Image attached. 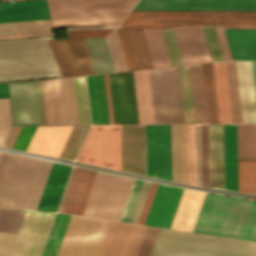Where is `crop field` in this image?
Returning a JSON list of instances; mask_svg holds the SVG:
<instances>
[{
	"instance_id": "b54c1fbb",
	"label": "crop field",
	"mask_w": 256,
	"mask_h": 256,
	"mask_svg": "<svg viewBox=\"0 0 256 256\" xmlns=\"http://www.w3.org/2000/svg\"><path fill=\"white\" fill-rule=\"evenodd\" d=\"M52 35L50 24L0 28V40Z\"/></svg>"
},
{
	"instance_id": "cbeb9de0",
	"label": "crop field",
	"mask_w": 256,
	"mask_h": 256,
	"mask_svg": "<svg viewBox=\"0 0 256 256\" xmlns=\"http://www.w3.org/2000/svg\"><path fill=\"white\" fill-rule=\"evenodd\" d=\"M47 42L62 77L94 73L84 39Z\"/></svg>"
},
{
	"instance_id": "c39391a2",
	"label": "crop field",
	"mask_w": 256,
	"mask_h": 256,
	"mask_svg": "<svg viewBox=\"0 0 256 256\" xmlns=\"http://www.w3.org/2000/svg\"><path fill=\"white\" fill-rule=\"evenodd\" d=\"M225 60L232 59L222 26H215Z\"/></svg>"
},
{
	"instance_id": "22f410ed",
	"label": "crop field",
	"mask_w": 256,
	"mask_h": 256,
	"mask_svg": "<svg viewBox=\"0 0 256 256\" xmlns=\"http://www.w3.org/2000/svg\"><path fill=\"white\" fill-rule=\"evenodd\" d=\"M54 215L26 211L11 256H39Z\"/></svg>"
},
{
	"instance_id": "8a807250",
	"label": "crop field",
	"mask_w": 256,
	"mask_h": 256,
	"mask_svg": "<svg viewBox=\"0 0 256 256\" xmlns=\"http://www.w3.org/2000/svg\"><path fill=\"white\" fill-rule=\"evenodd\" d=\"M192 231L256 241V202L207 193Z\"/></svg>"
},
{
	"instance_id": "89e229c0",
	"label": "crop field",
	"mask_w": 256,
	"mask_h": 256,
	"mask_svg": "<svg viewBox=\"0 0 256 256\" xmlns=\"http://www.w3.org/2000/svg\"><path fill=\"white\" fill-rule=\"evenodd\" d=\"M79 124H90L84 76L73 77Z\"/></svg>"
},
{
	"instance_id": "e1d0b9f6",
	"label": "crop field",
	"mask_w": 256,
	"mask_h": 256,
	"mask_svg": "<svg viewBox=\"0 0 256 256\" xmlns=\"http://www.w3.org/2000/svg\"><path fill=\"white\" fill-rule=\"evenodd\" d=\"M36 127H22L12 148L25 151Z\"/></svg>"
},
{
	"instance_id": "5866460e",
	"label": "crop field",
	"mask_w": 256,
	"mask_h": 256,
	"mask_svg": "<svg viewBox=\"0 0 256 256\" xmlns=\"http://www.w3.org/2000/svg\"><path fill=\"white\" fill-rule=\"evenodd\" d=\"M220 123H232L224 62L213 63Z\"/></svg>"
},
{
	"instance_id": "c21b1889",
	"label": "crop field",
	"mask_w": 256,
	"mask_h": 256,
	"mask_svg": "<svg viewBox=\"0 0 256 256\" xmlns=\"http://www.w3.org/2000/svg\"><path fill=\"white\" fill-rule=\"evenodd\" d=\"M155 67L171 66L160 29H144Z\"/></svg>"
},
{
	"instance_id": "f0312440",
	"label": "crop field",
	"mask_w": 256,
	"mask_h": 256,
	"mask_svg": "<svg viewBox=\"0 0 256 256\" xmlns=\"http://www.w3.org/2000/svg\"><path fill=\"white\" fill-rule=\"evenodd\" d=\"M7 155L8 154H6V153H1L0 152V174H1L2 168L4 166L5 160L7 158Z\"/></svg>"
},
{
	"instance_id": "214f88e0",
	"label": "crop field",
	"mask_w": 256,
	"mask_h": 256,
	"mask_svg": "<svg viewBox=\"0 0 256 256\" xmlns=\"http://www.w3.org/2000/svg\"><path fill=\"white\" fill-rule=\"evenodd\" d=\"M76 169L77 168L75 167L72 168L71 174L69 176V179H68V182H67V185L63 193L57 212L62 211L73 177L75 175ZM96 173L97 172L95 171H90V170H85L80 168L77 169L76 175L74 177L71 189L69 191V194L62 212L74 214V215L82 214V211L84 209V206L88 198L90 189L92 187Z\"/></svg>"
},
{
	"instance_id": "d8731c3e",
	"label": "crop field",
	"mask_w": 256,
	"mask_h": 256,
	"mask_svg": "<svg viewBox=\"0 0 256 256\" xmlns=\"http://www.w3.org/2000/svg\"><path fill=\"white\" fill-rule=\"evenodd\" d=\"M109 222L71 216L57 256H98Z\"/></svg>"
},
{
	"instance_id": "1d83c4d3",
	"label": "crop field",
	"mask_w": 256,
	"mask_h": 256,
	"mask_svg": "<svg viewBox=\"0 0 256 256\" xmlns=\"http://www.w3.org/2000/svg\"><path fill=\"white\" fill-rule=\"evenodd\" d=\"M25 211L0 209V231L17 233ZM0 232V256H10L17 234Z\"/></svg>"
},
{
	"instance_id": "425ffa30",
	"label": "crop field",
	"mask_w": 256,
	"mask_h": 256,
	"mask_svg": "<svg viewBox=\"0 0 256 256\" xmlns=\"http://www.w3.org/2000/svg\"><path fill=\"white\" fill-rule=\"evenodd\" d=\"M46 125L59 124L53 79L41 80Z\"/></svg>"
},
{
	"instance_id": "bc2a9ffb",
	"label": "crop field",
	"mask_w": 256,
	"mask_h": 256,
	"mask_svg": "<svg viewBox=\"0 0 256 256\" xmlns=\"http://www.w3.org/2000/svg\"><path fill=\"white\" fill-rule=\"evenodd\" d=\"M122 170L146 176L145 125H121Z\"/></svg>"
},
{
	"instance_id": "0bd39190",
	"label": "crop field",
	"mask_w": 256,
	"mask_h": 256,
	"mask_svg": "<svg viewBox=\"0 0 256 256\" xmlns=\"http://www.w3.org/2000/svg\"><path fill=\"white\" fill-rule=\"evenodd\" d=\"M238 159H256V124H237Z\"/></svg>"
},
{
	"instance_id": "fb207236",
	"label": "crop field",
	"mask_w": 256,
	"mask_h": 256,
	"mask_svg": "<svg viewBox=\"0 0 256 256\" xmlns=\"http://www.w3.org/2000/svg\"><path fill=\"white\" fill-rule=\"evenodd\" d=\"M8 97L7 83H0V98Z\"/></svg>"
},
{
	"instance_id": "1f2cbd36",
	"label": "crop field",
	"mask_w": 256,
	"mask_h": 256,
	"mask_svg": "<svg viewBox=\"0 0 256 256\" xmlns=\"http://www.w3.org/2000/svg\"><path fill=\"white\" fill-rule=\"evenodd\" d=\"M89 126H74L59 157L74 160Z\"/></svg>"
},
{
	"instance_id": "dbb93151",
	"label": "crop field",
	"mask_w": 256,
	"mask_h": 256,
	"mask_svg": "<svg viewBox=\"0 0 256 256\" xmlns=\"http://www.w3.org/2000/svg\"><path fill=\"white\" fill-rule=\"evenodd\" d=\"M204 35L205 43L209 53L210 61H221L223 55L217 38L214 26L201 27Z\"/></svg>"
},
{
	"instance_id": "7b73153f",
	"label": "crop field",
	"mask_w": 256,
	"mask_h": 256,
	"mask_svg": "<svg viewBox=\"0 0 256 256\" xmlns=\"http://www.w3.org/2000/svg\"><path fill=\"white\" fill-rule=\"evenodd\" d=\"M159 228L147 226L137 256H149Z\"/></svg>"
},
{
	"instance_id": "73cf0c24",
	"label": "crop field",
	"mask_w": 256,
	"mask_h": 256,
	"mask_svg": "<svg viewBox=\"0 0 256 256\" xmlns=\"http://www.w3.org/2000/svg\"><path fill=\"white\" fill-rule=\"evenodd\" d=\"M239 191L256 193V160H238Z\"/></svg>"
},
{
	"instance_id": "f4fd0767",
	"label": "crop field",
	"mask_w": 256,
	"mask_h": 256,
	"mask_svg": "<svg viewBox=\"0 0 256 256\" xmlns=\"http://www.w3.org/2000/svg\"><path fill=\"white\" fill-rule=\"evenodd\" d=\"M209 24L256 25V12L131 11L121 26L164 28Z\"/></svg>"
},
{
	"instance_id": "4a817a6b",
	"label": "crop field",
	"mask_w": 256,
	"mask_h": 256,
	"mask_svg": "<svg viewBox=\"0 0 256 256\" xmlns=\"http://www.w3.org/2000/svg\"><path fill=\"white\" fill-rule=\"evenodd\" d=\"M13 125H40L35 81L8 84Z\"/></svg>"
},
{
	"instance_id": "d23c7cc5",
	"label": "crop field",
	"mask_w": 256,
	"mask_h": 256,
	"mask_svg": "<svg viewBox=\"0 0 256 256\" xmlns=\"http://www.w3.org/2000/svg\"><path fill=\"white\" fill-rule=\"evenodd\" d=\"M139 64V68H151L153 62L143 29L128 28Z\"/></svg>"
},
{
	"instance_id": "b80d0937",
	"label": "crop field",
	"mask_w": 256,
	"mask_h": 256,
	"mask_svg": "<svg viewBox=\"0 0 256 256\" xmlns=\"http://www.w3.org/2000/svg\"><path fill=\"white\" fill-rule=\"evenodd\" d=\"M197 123H208L201 64L190 65Z\"/></svg>"
},
{
	"instance_id": "1f1604b0",
	"label": "crop field",
	"mask_w": 256,
	"mask_h": 256,
	"mask_svg": "<svg viewBox=\"0 0 256 256\" xmlns=\"http://www.w3.org/2000/svg\"><path fill=\"white\" fill-rule=\"evenodd\" d=\"M247 198H252V197H247ZM254 199H256V198H254Z\"/></svg>"
},
{
	"instance_id": "0f1d7ab4",
	"label": "crop field",
	"mask_w": 256,
	"mask_h": 256,
	"mask_svg": "<svg viewBox=\"0 0 256 256\" xmlns=\"http://www.w3.org/2000/svg\"><path fill=\"white\" fill-rule=\"evenodd\" d=\"M151 184L152 183H150V182H146V181L143 182L142 188L140 190L137 202L135 204V207H134V210H133V213H132V216H131L129 222H133V223L138 222V219L140 217V214H141L142 208L144 206L145 200L147 198Z\"/></svg>"
},
{
	"instance_id": "5d738f31",
	"label": "crop field",
	"mask_w": 256,
	"mask_h": 256,
	"mask_svg": "<svg viewBox=\"0 0 256 256\" xmlns=\"http://www.w3.org/2000/svg\"><path fill=\"white\" fill-rule=\"evenodd\" d=\"M233 123L242 122L235 61L225 62Z\"/></svg>"
},
{
	"instance_id": "78b8030e",
	"label": "crop field",
	"mask_w": 256,
	"mask_h": 256,
	"mask_svg": "<svg viewBox=\"0 0 256 256\" xmlns=\"http://www.w3.org/2000/svg\"><path fill=\"white\" fill-rule=\"evenodd\" d=\"M142 182L143 181L141 180H137V179L134 180L132 189L130 191V194H129V197L120 221H124V222L129 221V218L132 213Z\"/></svg>"
},
{
	"instance_id": "0fb4a251",
	"label": "crop field",
	"mask_w": 256,
	"mask_h": 256,
	"mask_svg": "<svg viewBox=\"0 0 256 256\" xmlns=\"http://www.w3.org/2000/svg\"><path fill=\"white\" fill-rule=\"evenodd\" d=\"M117 31H118L120 43L122 46L123 54L125 57L127 69L128 70L139 69L137 61H136V57L134 54V50L132 47V43L130 40V36L128 33V29L127 28H118Z\"/></svg>"
},
{
	"instance_id": "e1f06a70",
	"label": "crop field",
	"mask_w": 256,
	"mask_h": 256,
	"mask_svg": "<svg viewBox=\"0 0 256 256\" xmlns=\"http://www.w3.org/2000/svg\"><path fill=\"white\" fill-rule=\"evenodd\" d=\"M85 40L94 68V72H114L104 38Z\"/></svg>"
},
{
	"instance_id": "3316defc",
	"label": "crop field",
	"mask_w": 256,
	"mask_h": 256,
	"mask_svg": "<svg viewBox=\"0 0 256 256\" xmlns=\"http://www.w3.org/2000/svg\"><path fill=\"white\" fill-rule=\"evenodd\" d=\"M104 78L110 124L139 123L132 71Z\"/></svg>"
},
{
	"instance_id": "92a150f3",
	"label": "crop field",
	"mask_w": 256,
	"mask_h": 256,
	"mask_svg": "<svg viewBox=\"0 0 256 256\" xmlns=\"http://www.w3.org/2000/svg\"><path fill=\"white\" fill-rule=\"evenodd\" d=\"M182 190L159 184L144 224L169 228Z\"/></svg>"
},
{
	"instance_id": "9d1cf04e",
	"label": "crop field",
	"mask_w": 256,
	"mask_h": 256,
	"mask_svg": "<svg viewBox=\"0 0 256 256\" xmlns=\"http://www.w3.org/2000/svg\"><path fill=\"white\" fill-rule=\"evenodd\" d=\"M106 39H107L112 60L115 66V70L116 71L127 70L124 57L122 54L121 46L119 43L117 31H114L113 33H111L108 37H106Z\"/></svg>"
},
{
	"instance_id": "4177f3b9",
	"label": "crop field",
	"mask_w": 256,
	"mask_h": 256,
	"mask_svg": "<svg viewBox=\"0 0 256 256\" xmlns=\"http://www.w3.org/2000/svg\"><path fill=\"white\" fill-rule=\"evenodd\" d=\"M71 166L53 163L38 209L55 212Z\"/></svg>"
},
{
	"instance_id": "a9b5d70f",
	"label": "crop field",
	"mask_w": 256,
	"mask_h": 256,
	"mask_svg": "<svg viewBox=\"0 0 256 256\" xmlns=\"http://www.w3.org/2000/svg\"><path fill=\"white\" fill-rule=\"evenodd\" d=\"M210 187L224 189L222 124L208 125Z\"/></svg>"
},
{
	"instance_id": "ac0d7876",
	"label": "crop field",
	"mask_w": 256,
	"mask_h": 256,
	"mask_svg": "<svg viewBox=\"0 0 256 256\" xmlns=\"http://www.w3.org/2000/svg\"><path fill=\"white\" fill-rule=\"evenodd\" d=\"M0 41V82L60 76L46 40Z\"/></svg>"
},
{
	"instance_id": "28ad6ade",
	"label": "crop field",
	"mask_w": 256,
	"mask_h": 256,
	"mask_svg": "<svg viewBox=\"0 0 256 256\" xmlns=\"http://www.w3.org/2000/svg\"><path fill=\"white\" fill-rule=\"evenodd\" d=\"M37 161L8 155L0 177V207L22 208Z\"/></svg>"
},
{
	"instance_id": "d3111659",
	"label": "crop field",
	"mask_w": 256,
	"mask_h": 256,
	"mask_svg": "<svg viewBox=\"0 0 256 256\" xmlns=\"http://www.w3.org/2000/svg\"><path fill=\"white\" fill-rule=\"evenodd\" d=\"M92 124H109L103 74L86 76Z\"/></svg>"
},
{
	"instance_id": "bd1437ed",
	"label": "crop field",
	"mask_w": 256,
	"mask_h": 256,
	"mask_svg": "<svg viewBox=\"0 0 256 256\" xmlns=\"http://www.w3.org/2000/svg\"><path fill=\"white\" fill-rule=\"evenodd\" d=\"M233 59L256 60V29H225Z\"/></svg>"
},
{
	"instance_id": "733c2abd",
	"label": "crop field",
	"mask_w": 256,
	"mask_h": 256,
	"mask_svg": "<svg viewBox=\"0 0 256 256\" xmlns=\"http://www.w3.org/2000/svg\"><path fill=\"white\" fill-rule=\"evenodd\" d=\"M145 227L111 221L99 256H136Z\"/></svg>"
},
{
	"instance_id": "e52e79f7",
	"label": "crop field",
	"mask_w": 256,
	"mask_h": 256,
	"mask_svg": "<svg viewBox=\"0 0 256 256\" xmlns=\"http://www.w3.org/2000/svg\"><path fill=\"white\" fill-rule=\"evenodd\" d=\"M148 73L155 123H184L177 67Z\"/></svg>"
},
{
	"instance_id": "ae1a2a85",
	"label": "crop field",
	"mask_w": 256,
	"mask_h": 256,
	"mask_svg": "<svg viewBox=\"0 0 256 256\" xmlns=\"http://www.w3.org/2000/svg\"><path fill=\"white\" fill-rule=\"evenodd\" d=\"M225 189L238 191L236 124H223Z\"/></svg>"
},
{
	"instance_id": "d14b1444",
	"label": "crop field",
	"mask_w": 256,
	"mask_h": 256,
	"mask_svg": "<svg viewBox=\"0 0 256 256\" xmlns=\"http://www.w3.org/2000/svg\"><path fill=\"white\" fill-rule=\"evenodd\" d=\"M43 18H49V16L31 17V18H18V19H5V20H0V22L18 21V20H31V19H43ZM44 23H50L49 19L31 20V21H18V22H5V23H0V27L19 26V25H32V24H44Z\"/></svg>"
},
{
	"instance_id": "dafd665d",
	"label": "crop field",
	"mask_w": 256,
	"mask_h": 256,
	"mask_svg": "<svg viewBox=\"0 0 256 256\" xmlns=\"http://www.w3.org/2000/svg\"><path fill=\"white\" fill-rule=\"evenodd\" d=\"M73 126H38L26 151L58 157Z\"/></svg>"
},
{
	"instance_id": "5142ce71",
	"label": "crop field",
	"mask_w": 256,
	"mask_h": 256,
	"mask_svg": "<svg viewBox=\"0 0 256 256\" xmlns=\"http://www.w3.org/2000/svg\"><path fill=\"white\" fill-rule=\"evenodd\" d=\"M147 176L171 180L169 125H146Z\"/></svg>"
},
{
	"instance_id": "c5b07064",
	"label": "crop field",
	"mask_w": 256,
	"mask_h": 256,
	"mask_svg": "<svg viewBox=\"0 0 256 256\" xmlns=\"http://www.w3.org/2000/svg\"><path fill=\"white\" fill-rule=\"evenodd\" d=\"M36 85H37L40 121H41V125H45L40 80L36 81Z\"/></svg>"
},
{
	"instance_id": "34b2d1b8",
	"label": "crop field",
	"mask_w": 256,
	"mask_h": 256,
	"mask_svg": "<svg viewBox=\"0 0 256 256\" xmlns=\"http://www.w3.org/2000/svg\"><path fill=\"white\" fill-rule=\"evenodd\" d=\"M150 256H256V243L160 228Z\"/></svg>"
},
{
	"instance_id": "730fd06b",
	"label": "crop field",
	"mask_w": 256,
	"mask_h": 256,
	"mask_svg": "<svg viewBox=\"0 0 256 256\" xmlns=\"http://www.w3.org/2000/svg\"><path fill=\"white\" fill-rule=\"evenodd\" d=\"M205 194L184 189L170 228L191 231Z\"/></svg>"
},
{
	"instance_id": "028f5c9d",
	"label": "crop field",
	"mask_w": 256,
	"mask_h": 256,
	"mask_svg": "<svg viewBox=\"0 0 256 256\" xmlns=\"http://www.w3.org/2000/svg\"><path fill=\"white\" fill-rule=\"evenodd\" d=\"M50 162L38 161L31 185L22 209L36 210L50 167Z\"/></svg>"
},
{
	"instance_id": "d9b57169",
	"label": "crop field",
	"mask_w": 256,
	"mask_h": 256,
	"mask_svg": "<svg viewBox=\"0 0 256 256\" xmlns=\"http://www.w3.org/2000/svg\"><path fill=\"white\" fill-rule=\"evenodd\" d=\"M133 10L256 11V0H139Z\"/></svg>"
},
{
	"instance_id": "eef30255",
	"label": "crop field",
	"mask_w": 256,
	"mask_h": 256,
	"mask_svg": "<svg viewBox=\"0 0 256 256\" xmlns=\"http://www.w3.org/2000/svg\"><path fill=\"white\" fill-rule=\"evenodd\" d=\"M243 122H256V103L250 61H236Z\"/></svg>"
},
{
	"instance_id": "dd49c442",
	"label": "crop field",
	"mask_w": 256,
	"mask_h": 256,
	"mask_svg": "<svg viewBox=\"0 0 256 256\" xmlns=\"http://www.w3.org/2000/svg\"><path fill=\"white\" fill-rule=\"evenodd\" d=\"M133 180L98 172L83 215L119 221Z\"/></svg>"
},
{
	"instance_id": "7312dd0a",
	"label": "crop field",
	"mask_w": 256,
	"mask_h": 256,
	"mask_svg": "<svg viewBox=\"0 0 256 256\" xmlns=\"http://www.w3.org/2000/svg\"><path fill=\"white\" fill-rule=\"evenodd\" d=\"M224 28H256V26L251 25H223Z\"/></svg>"
},
{
	"instance_id": "750c4746",
	"label": "crop field",
	"mask_w": 256,
	"mask_h": 256,
	"mask_svg": "<svg viewBox=\"0 0 256 256\" xmlns=\"http://www.w3.org/2000/svg\"><path fill=\"white\" fill-rule=\"evenodd\" d=\"M60 124H78L72 77L54 79Z\"/></svg>"
},
{
	"instance_id": "0765c3eb",
	"label": "crop field",
	"mask_w": 256,
	"mask_h": 256,
	"mask_svg": "<svg viewBox=\"0 0 256 256\" xmlns=\"http://www.w3.org/2000/svg\"><path fill=\"white\" fill-rule=\"evenodd\" d=\"M118 26L105 27H70L67 29H94V28H116ZM114 29H94V30H67L69 38H89V37H105Z\"/></svg>"
},
{
	"instance_id": "120bbe31",
	"label": "crop field",
	"mask_w": 256,
	"mask_h": 256,
	"mask_svg": "<svg viewBox=\"0 0 256 256\" xmlns=\"http://www.w3.org/2000/svg\"><path fill=\"white\" fill-rule=\"evenodd\" d=\"M49 15L46 0L0 3V19Z\"/></svg>"
},
{
	"instance_id": "d1516ede",
	"label": "crop field",
	"mask_w": 256,
	"mask_h": 256,
	"mask_svg": "<svg viewBox=\"0 0 256 256\" xmlns=\"http://www.w3.org/2000/svg\"><path fill=\"white\" fill-rule=\"evenodd\" d=\"M187 183L209 187L207 125H185Z\"/></svg>"
},
{
	"instance_id": "ade564c9",
	"label": "crop field",
	"mask_w": 256,
	"mask_h": 256,
	"mask_svg": "<svg viewBox=\"0 0 256 256\" xmlns=\"http://www.w3.org/2000/svg\"><path fill=\"white\" fill-rule=\"evenodd\" d=\"M158 184L153 183L138 223L143 224Z\"/></svg>"
},
{
	"instance_id": "ae633e8c",
	"label": "crop field",
	"mask_w": 256,
	"mask_h": 256,
	"mask_svg": "<svg viewBox=\"0 0 256 256\" xmlns=\"http://www.w3.org/2000/svg\"><path fill=\"white\" fill-rule=\"evenodd\" d=\"M180 182L186 183L184 125H179Z\"/></svg>"
},
{
	"instance_id": "5a996713",
	"label": "crop field",
	"mask_w": 256,
	"mask_h": 256,
	"mask_svg": "<svg viewBox=\"0 0 256 256\" xmlns=\"http://www.w3.org/2000/svg\"><path fill=\"white\" fill-rule=\"evenodd\" d=\"M76 161L121 170L120 125L92 126Z\"/></svg>"
},
{
	"instance_id": "db79e9e6",
	"label": "crop field",
	"mask_w": 256,
	"mask_h": 256,
	"mask_svg": "<svg viewBox=\"0 0 256 256\" xmlns=\"http://www.w3.org/2000/svg\"><path fill=\"white\" fill-rule=\"evenodd\" d=\"M11 128L8 98L0 99V146Z\"/></svg>"
},
{
	"instance_id": "1d79db26",
	"label": "crop field",
	"mask_w": 256,
	"mask_h": 256,
	"mask_svg": "<svg viewBox=\"0 0 256 256\" xmlns=\"http://www.w3.org/2000/svg\"><path fill=\"white\" fill-rule=\"evenodd\" d=\"M161 30H162V34H163V37H164L166 47H167V51H168V54H169L171 65L175 66V65L183 64L182 59H181V55H180V52H179L177 40H176V37H175L174 29L173 28H167V29H161Z\"/></svg>"
},
{
	"instance_id": "c035e120",
	"label": "crop field",
	"mask_w": 256,
	"mask_h": 256,
	"mask_svg": "<svg viewBox=\"0 0 256 256\" xmlns=\"http://www.w3.org/2000/svg\"><path fill=\"white\" fill-rule=\"evenodd\" d=\"M185 123H196L189 65L178 67Z\"/></svg>"
},
{
	"instance_id": "412701ff",
	"label": "crop field",
	"mask_w": 256,
	"mask_h": 256,
	"mask_svg": "<svg viewBox=\"0 0 256 256\" xmlns=\"http://www.w3.org/2000/svg\"><path fill=\"white\" fill-rule=\"evenodd\" d=\"M50 19L125 18L137 0H47ZM123 19L66 20L51 22L53 28L119 25Z\"/></svg>"
},
{
	"instance_id": "00972430",
	"label": "crop field",
	"mask_w": 256,
	"mask_h": 256,
	"mask_svg": "<svg viewBox=\"0 0 256 256\" xmlns=\"http://www.w3.org/2000/svg\"><path fill=\"white\" fill-rule=\"evenodd\" d=\"M174 29L184 64L210 62L200 27Z\"/></svg>"
},
{
	"instance_id": "447ae74e",
	"label": "crop field",
	"mask_w": 256,
	"mask_h": 256,
	"mask_svg": "<svg viewBox=\"0 0 256 256\" xmlns=\"http://www.w3.org/2000/svg\"><path fill=\"white\" fill-rule=\"evenodd\" d=\"M172 180L179 182L178 125H170Z\"/></svg>"
},
{
	"instance_id": "25e5ab78",
	"label": "crop field",
	"mask_w": 256,
	"mask_h": 256,
	"mask_svg": "<svg viewBox=\"0 0 256 256\" xmlns=\"http://www.w3.org/2000/svg\"><path fill=\"white\" fill-rule=\"evenodd\" d=\"M69 215L57 214L42 256H56Z\"/></svg>"
},
{
	"instance_id": "d32e631a",
	"label": "crop field",
	"mask_w": 256,
	"mask_h": 256,
	"mask_svg": "<svg viewBox=\"0 0 256 256\" xmlns=\"http://www.w3.org/2000/svg\"><path fill=\"white\" fill-rule=\"evenodd\" d=\"M133 74L140 123H154L147 70Z\"/></svg>"
},
{
	"instance_id": "c3a83c6f",
	"label": "crop field",
	"mask_w": 256,
	"mask_h": 256,
	"mask_svg": "<svg viewBox=\"0 0 256 256\" xmlns=\"http://www.w3.org/2000/svg\"><path fill=\"white\" fill-rule=\"evenodd\" d=\"M20 128L21 127H13L12 128V130H11V132H10L6 142H5L6 147H10V148L12 147Z\"/></svg>"
},
{
	"instance_id": "03da06ac",
	"label": "crop field",
	"mask_w": 256,
	"mask_h": 256,
	"mask_svg": "<svg viewBox=\"0 0 256 256\" xmlns=\"http://www.w3.org/2000/svg\"><path fill=\"white\" fill-rule=\"evenodd\" d=\"M209 123H219L212 63L202 64Z\"/></svg>"
},
{
	"instance_id": "180be81f",
	"label": "crop field",
	"mask_w": 256,
	"mask_h": 256,
	"mask_svg": "<svg viewBox=\"0 0 256 256\" xmlns=\"http://www.w3.org/2000/svg\"><path fill=\"white\" fill-rule=\"evenodd\" d=\"M251 64H252V72H253L254 88H255V95H256V62L251 61Z\"/></svg>"
}]
</instances>
